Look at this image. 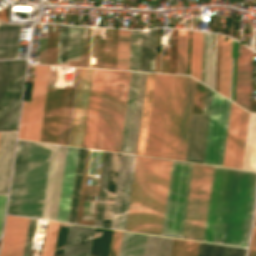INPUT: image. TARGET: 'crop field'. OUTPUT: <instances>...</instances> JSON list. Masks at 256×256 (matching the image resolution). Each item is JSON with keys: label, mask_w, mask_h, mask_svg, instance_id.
<instances>
[{"label": "crop field", "mask_w": 256, "mask_h": 256, "mask_svg": "<svg viewBox=\"0 0 256 256\" xmlns=\"http://www.w3.org/2000/svg\"><path fill=\"white\" fill-rule=\"evenodd\" d=\"M95 228L70 224L64 256H89Z\"/></svg>", "instance_id": "obj_18"}, {"label": "crop field", "mask_w": 256, "mask_h": 256, "mask_svg": "<svg viewBox=\"0 0 256 256\" xmlns=\"http://www.w3.org/2000/svg\"><path fill=\"white\" fill-rule=\"evenodd\" d=\"M122 232L114 230L109 256H117Z\"/></svg>", "instance_id": "obj_45"}, {"label": "crop field", "mask_w": 256, "mask_h": 256, "mask_svg": "<svg viewBox=\"0 0 256 256\" xmlns=\"http://www.w3.org/2000/svg\"><path fill=\"white\" fill-rule=\"evenodd\" d=\"M172 239L163 237L159 256H169Z\"/></svg>", "instance_id": "obj_46"}, {"label": "crop field", "mask_w": 256, "mask_h": 256, "mask_svg": "<svg viewBox=\"0 0 256 256\" xmlns=\"http://www.w3.org/2000/svg\"><path fill=\"white\" fill-rule=\"evenodd\" d=\"M212 94L207 88L202 115L193 114L186 161L202 163Z\"/></svg>", "instance_id": "obj_12"}, {"label": "crop field", "mask_w": 256, "mask_h": 256, "mask_svg": "<svg viewBox=\"0 0 256 256\" xmlns=\"http://www.w3.org/2000/svg\"><path fill=\"white\" fill-rule=\"evenodd\" d=\"M191 167L173 161L162 235L181 238Z\"/></svg>", "instance_id": "obj_7"}, {"label": "crop field", "mask_w": 256, "mask_h": 256, "mask_svg": "<svg viewBox=\"0 0 256 256\" xmlns=\"http://www.w3.org/2000/svg\"><path fill=\"white\" fill-rule=\"evenodd\" d=\"M171 164L136 156L126 230L161 235Z\"/></svg>", "instance_id": "obj_2"}, {"label": "crop field", "mask_w": 256, "mask_h": 256, "mask_svg": "<svg viewBox=\"0 0 256 256\" xmlns=\"http://www.w3.org/2000/svg\"><path fill=\"white\" fill-rule=\"evenodd\" d=\"M252 50L242 45L238 57L235 103L249 111Z\"/></svg>", "instance_id": "obj_15"}, {"label": "crop field", "mask_w": 256, "mask_h": 256, "mask_svg": "<svg viewBox=\"0 0 256 256\" xmlns=\"http://www.w3.org/2000/svg\"><path fill=\"white\" fill-rule=\"evenodd\" d=\"M129 75L105 70L94 149L119 152Z\"/></svg>", "instance_id": "obj_4"}, {"label": "crop field", "mask_w": 256, "mask_h": 256, "mask_svg": "<svg viewBox=\"0 0 256 256\" xmlns=\"http://www.w3.org/2000/svg\"><path fill=\"white\" fill-rule=\"evenodd\" d=\"M49 66L36 65L31 103H24L18 138L39 141Z\"/></svg>", "instance_id": "obj_9"}, {"label": "crop field", "mask_w": 256, "mask_h": 256, "mask_svg": "<svg viewBox=\"0 0 256 256\" xmlns=\"http://www.w3.org/2000/svg\"><path fill=\"white\" fill-rule=\"evenodd\" d=\"M150 70H154V63L150 62Z\"/></svg>", "instance_id": "obj_50"}, {"label": "crop field", "mask_w": 256, "mask_h": 256, "mask_svg": "<svg viewBox=\"0 0 256 256\" xmlns=\"http://www.w3.org/2000/svg\"><path fill=\"white\" fill-rule=\"evenodd\" d=\"M130 31L118 30L116 69L128 70Z\"/></svg>", "instance_id": "obj_33"}, {"label": "crop field", "mask_w": 256, "mask_h": 256, "mask_svg": "<svg viewBox=\"0 0 256 256\" xmlns=\"http://www.w3.org/2000/svg\"><path fill=\"white\" fill-rule=\"evenodd\" d=\"M147 235L123 232L118 256H143Z\"/></svg>", "instance_id": "obj_25"}, {"label": "crop field", "mask_w": 256, "mask_h": 256, "mask_svg": "<svg viewBox=\"0 0 256 256\" xmlns=\"http://www.w3.org/2000/svg\"><path fill=\"white\" fill-rule=\"evenodd\" d=\"M30 142L18 140L8 214L19 215Z\"/></svg>", "instance_id": "obj_13"}, {"label": "crop field", "mask_w": 256, "mask_h": 256, "mask_svg": "<svg viewBox=\"0 0 256 256\" xmlns=\"http://www.w3.org/2000/svg\"><path fill=\"white\" fill-rule=\"evenodd\" d=\"M155 74L147 73L136 154L144 155Z\"/></svg>", "instance_id": "obj_23"}, {"label": "crop field", "mask_w": 256, "mask_h": 256, "mask_svg": "<svg viewBox=\"0 0 256 256\" xmlns=\"http://www.w3.org/2000/svg\"><path fill=\"white\" fill-rule=\"evenodd\" d=\"M237 41L233 40L229 99L234 101Z\"/></svg>", "instance_id": "obj_43"}, {"label": "crop field", "mask_w": 256, "mask_h": 256, "mask_svg": "<svg viewBox=\"0 0 256 256\" xmlns=\"http://www.w3.org/2000/svg\"><path fill=\"white\" fill-rule=\"evenodd\" d=\"M35 222H36V220H33V219H30V221H29L23 256H29Z\"/></svg>", "instance_id": "obj_44"}, {"label": "crop field", "mask_w": 256, "mask_h": 256, "mask_svg": "<svg viewBox=\"0 0 256 256\" xmlns=\"http://www.w3.org/2000/svg\"><path fill=\"white\" fill-rule=\"evenodd\" d=\"M50 148L31 142L20 215L41 218Z\"/></svg>", "instance_id": "obj_6"}, {"label": "crop field", "mask_w": 256, "mask_h": 256, "mask_svg": "<svg viewBox=\"0 0 256 256\" xmlns=\"http://www.w3.org/2000/svg\"><path fill=\"white\" fill-rule=\"evenodd\" d=\"M5 199H6V196H0V232L2 227Z\"/></svg>", "instance_id": "obj_48"}, {"label": "crop field", "mask_w": 256, "mask_h": 256, "mask_svg": "<svg viewBox=\"0 0 256 256\" xmlns=\"http://www.w3.org/2000/svg\"><path fill=\"white\" fill-rule=\"evenodd\" d=\"M59 225L60 223L49 221L42 256L54 255Z\"/></svg>", "instance_id": "obj_37"}, {"label": "crop field", "mask_w": 256, "mask_h": 256, "mask_svg": "<svg viewBox=\"0 0 256 256\" xmlns=\"http://www.w3.org/2000/svg\"><path fill=\"white\" fill-rule=\"evenodd\" d=\"M16 133H0V194H6Z\"/></svg>", "instance_id": "obj_22"}, {"label": "crop field", "mask_w": 256, "mask_h": 256, "mask_svg": "<svg viewBox=\"0 0 256 256\" xmlns=\"http://www.w3.org/2000/svg\"><path fill=\"white\" fill-rule=\"evenodd\" d=\"M66 147L52 145L42 218L56 220Z\"/></svg>", "instance_id": "obj_11"}, {"label": "crop field", "mask_w": 256, "mask_h": 256, "mask_svg": "<svg viewBox=\"0 0 256 256\" xmlns=\"http://www.w3.org/2000/svg\"><path fill=\"white\" fill-rule=\"evenodd\" d=\"M199 242L173 239L170 256H196Z\"/></svg>", "instance_id": "obj_34"}, {"label": "crop field", "mask_w": 256, "mask_h": 256, "mask_svg": "<svg viewBox=\"0 0 256 256\" xmlns=\"http://www.w3.org/2000/svg\"><path fill=\"white\" fill-rule=\"evenodd\" d=\"M28 221L7 216L0 256H22Z\"/></svg>", "instance_id": "obj_14"}, {"label": "crop field", "mask_w": 256, "mask_h": 256, "mask_svg": "<svg viewBox=\"0 0 256 256\" xmlns=\"http://www.w3.org/2000/svg\"><path fill=\"white\" fill-rule=\"evenodd\" d=\"M171 75L156 74L145 155H160Z\"/></svg>", "instance_id": "obj_10"}, {"label": "crop field", "mask_w": 256, "mask_h": 256, "mask_svg": "<svg viewBox=\"0 0 256 256\" xmlns=\"http://www.w3.org/2000/svg\"><path fill=\"white\" fill-rule=\"evenodd\" d=\"M69 26L62 25L59 34L57 63L68 64Z\"/></svg>", "instance_id": "obj_38"}, {"label": "crop field", "mask_w": 256, "mask_h": 256, "mask_svg": "<svg viewBox=\"0 0 256 256\" xmlns=\"http://www.w3.org/2000/svg\"><path fill=\"white\" fill-rule=\"evenodd\" d=\"M128 155L121 154L110 228L117 229Z\"/></svg>", "instance_id": "obj_27"}, {"label": "crop field", "mask_w": 256, "mask_h": 256, "mask_svg": "<svg viewBox=\"0 0 256 256\" xmlns=\"http://www.w3.org/2000/svg\"><path fill=\"white\" fill-rule=\"evenodd\" d=\"M195 84L172 75L160 158L185 161Z\"/></svg>", "instance_id": "obj_3"}, {"label": "crop field", "mask_w": 256, "mask_h": 256, "mask_svg": "<svg viewBox=\"0 0 256 256\" xmlns=\"http://www.w3.org/2000/svg\"><path fill=\"white\" fill-rule=\"evenodd\" d=\"M214 167L193 164L183 237L203 241Z\"/></svg>", "instance_id": "obj_5"}, {"label": "crop field", "mask_w": 256, "mask_h": 256, "mask_svg": "<svg viewBox=\"0 0 256 256\" xmlns=\"http://www.w3.org/2000/svg\"><path fill=\"white\" fill-rule=\"evenodd\" d=\"M86 149L79 148L68 222L75 223Z\"/></svg>", "instance_id": "obj_28"}, {"label": "crop field", "mask_w": 256, "mask_h": 256, "mask_svg": "<svg viewBox=\"0 0 256 256\" xmlns=\"http://www.w3.org/2000/svg\"><path fill=\"white\" fill-rule=\"evenodd\" d=\"M135 156L129 155L118 229L125 230Z\"/></svg>", "instance_id": "obj_31"}, {"label": "crop field", "mask_w": 256, "mask_h": 256, "mask_svg": "<svg viewBox=\"0 0 256 256\" xmlns=\"http://www.w3.org/2000/svg\"><path fill=\"white\" fill-rule=\"evenodd\" d=\"M212 35L207 33L204 84L214 89L217 34H215L214 51Z\"/></svg>", "instance_id": "obj_29"}, {"label": "crop field", "mask_w": 256, "mask_h": 256, "mask_svg": "<svg viewBox=\"0 0 256 256\" xmlns=\"http://www.w3.org/2000/svg\"><path fill=\"white\" fill-rule=\"evenodd\" d=\"M256 172L215 167L204 241L246 247Z\"/></svg>", "instance_id": "obj_1"}, {"label": "crop field", "mask_w": 256, "mask_h": 256, "mask_svg": "<svg viewBox=\"0 0 256 256\" xmlns=\"http://www.w3.org/2000/svg\"><path fill=\"white\" fill-rule=\"evenodd\" d=\"M242 108L232 103L223 166L234 168Z\"/></svg>", "instance_id": "obj_21"}, {"label": "crop field", "mask_w": 256, "mask_h": 256, "mask_svg": "<svg viewBox=\"0 0 256 256\" xmlns=\"http://www.w3.org/2000/svg\"><path fill=\"white\" fill-rule=\"evenodd\" d=\"M231 101L214 92L203 163L222 166Z\"/></svg>", "instance_id": "obj_8"}, {"label": "crop field", "mask_w": 256, "mask_h": 256, "mask_svg": "<svg viewBox=\"0 0 256 256\" xmlns=\"http://www.w3.org/2000/svg\"><path fill=\"white\" fill-rule=\"evenodd\" d=\"M162 237L148 235L144 256H158Z\"/></svg>", "instance_id": "obj_42"}, {"label": "crop field", "mask_w": 256, "mask_h": 256, "mask_svg": "<svg viewBox=\"0 0 256 256\" xmlns=\"http://www.w3.org/2000/svg\"><path fill=\"white\" fill-rule=\"evenodd\" d=\"M78 148L67 147L57 220L67 222Z\"/></svg>", "instance_id": "obj_16"}, {"label": "crop field", "mask_w": 256, "mask_h": 256, "mask_svg": "<svg viewBox=\"0 0 256 256\" xmlns=\"http://www.w3.org/2000/svg\"><path fill=\"white\" fill-rule=\"evenodd\" d=\"M141 31H131L129 70L139 71Z\"/></svg>", "instance_id": "obj_36"}, {"label": "crop field", "mask_w": 256, "mask_h": 256, "mask_svg": "<svg viewBox=\"0 0 256 256\" xmlns=\"http://www.w3.org/2000/svg\"><path fill=\"white\" fill-rule=\"evenodd\" d=\"M84 72H85V69L82 68L81 73H80L76 108H75L72 135H71V142H70V145H72V146H74V143H75V136H76L77 122H78V115H79V107H80ZM89 72H90V69H86L85 79H84V86H83V93H82V100H81L80 115H79V122H78V129H77V136H76V143H75V146H77V147H79V144H80V137H81L82 122H83V115H84V108H85V101H86V94H87ZM91 72H92V69H91ZM91 72H90V79H91ZM90 79H89V86H90ZM89 86H88V94H89ZM88 94H87V101H88ZM87 101H86V108H87ZM86 108H85V115H86ZM85 115H84V122H85ZM84 122H83V130H84ZM83 130H82V137H83ZM82 137H81V144H82ZM81 144H80V147H81Z\"/></svg>", "instance_id": "obj_20"}, {"label": "crop field", "mask_w": 256, "mask_h": 256, "mask_svg": "<svg viewBox=\"0 0 256 256\" xmlns=\"http://www.w3.org/2000/svg\"><path fill=\"white\" fill-rule=\"evenodd\" d=\"M187 42H188V31L186 30L184 67H183V74L185 75H186V64H187ZM183 45H184V36H178L176 74H182Z\"/></svg>", "instance_id": "obj_40"}, {"label": "crop field", "mask_w": 256, "mask_h": 256, "mask_svg": "<svg viewBox=\"0 0 256 256\" xmlns=\"http://www.w3.org/2000/svg\"><path fill=\"white\" fill-rule=\"evenodd\" d=\"M231 42L221 41L219 93L228 98Z\"/></svg>", "instance_id": "obj_26"}, {"label": "crop field", "mask_w": 256, "mask_h": 256, "mask_svg": "<svg viewBox=\"0 0 256 256\" xmlns=\"http://www.w3.org/2000/svg\"><path fill=\"white\" fill-rule=\"evenodd\" d=\"M202 40L203 33L192 31L190 75L198 80L201 73Z\"/></svg>", "instance_id": "obj_32"}, {"label": "crop field", "mask_w": 256, "mask_h": 256, "mask_svg": "<svg viewBox=\"0 0 256 256\" xmlns=\"http://www.w3.org/2000/svg\"><path fill=\"white\" fill-rule=\"evenodd\" d=\"M246 249L200 242L197 256H245Z\"/></svg>", "instance_id": "obj_30"}, {"label": "crop field", "mask_w": 256, "mask_h": 256, "mask_svg": "<svg viewBox=\"0 0 256 256\" xmlns=\"http://www.w3.org/2000/svg\"><path fill=\"white\" fill-rule=\"evenodd\" d=\"M248 256H256V228H254Z\"/></svg>", "instance_id": "obj_47"}, {"label": "crop field", "mask_w": 256, "mask_h": 256, "mask_svg": "<svg viewBox=\"0 0 256 256\" xmlns=\"http://www.w3.org/2000/svg\"><path fill=\"white\" fill-rule=\"evenodd\" d=\"M140 73L131 72L120 152L129 153Z\"/></svg>", "instance_id": "obj_19"}, {"label": "crop field", "mask_w": 256, "mask_h": 256, "mask_svg": "<svg viewBox=\"0 0 256 256\" xmlns=\"http://www.w3.org/2000/svg\"><path fill=\"white\" fill-rule=\"evenodd\" d=\"M254 226H256V217H255V223H254Z\"/></svg>", "instance_id": "obj_51"}, {"label": "crop field", "mask_w": 256, "mask_h": 256, "mask_svg": "<svg viewBox=\"0 0 256 256\" xmlns=\"http://www.w3.org/2000/svg\"><path fill=\"white\" fill-rule=\"evenodd\" d=\"M81 27L70 26L69 60H79Z\"/></svg>", "instance_id": "obj_41"}, {"label": "crop field", "mask_w": 256, "mask_h": 256, "mask_svg": "<svg viewBox=\"0 0 256 256\" xmlns=\"http://www.w3.org/2000/svg\"><path fill=\"white\" fill-rule=\"evenodd\" d=\"M248 116H249V113L247 111L243 110L242 120H241V127H240L239 142H238L237 157H236V165H235V168H238V169H241V166H242V159H243V152H244V145H245V137H246L247 123H248Z\"/></svg>", "instance_id": "obj_39"}, {"label": "crop field", "mask_w": 256, "mask_h": 256, "mask_svg": "<svg viewBox=\"0 0 256 256\" xmlns=\"http://www.w3.org/2000/svg\"><path fill=\"white\" fill-rule=\"evenodd\" d=\"M104 70L94 69L83 146L93 149Z\"/></svg>", "instance_id": "obj_17"}, {"label": "crop field", "mask_w": 256, "mask_h": 256, "mask_svg": "<svg viewBox=\"0 0 256 256\" xmlns=\"http://www.w3.org/2000/svg\"><path fill=\"white\" fill-rule=\"evenodd\" d=\"M146 73H141L130 153L135 154Z\"/></svg>", "instance_id": "obj_35"}, {"label": "crop field", "mask_w": 256, "mask_h": 256, "mask_svg": "<svg viewBox=\"0 0 256 256\" xmlns=\"http://www.w3.org/2000/svg\"><path fill=\"white\" fill-rule=\"evenodd\" d=\"M205 41H206V33L204 32L203 57H202V74H201V82L202 83H203V75H204Z\"/></svg>", "instance_id": "obj_49"}, {"label": "crop field", "mask_w": 256, "mask_h": 256, "mask_svg": "<svg viewBox=\"0 0 256 256\" xmlns=\"http://www.w3.org/2000/svg\"><path fill=\"white\" fill-rule=\"evenodd\" d=\"M242 169L256 171V114L249 116Z\"/></svg>", "instance_id": "obj_24"}]
</instances>
